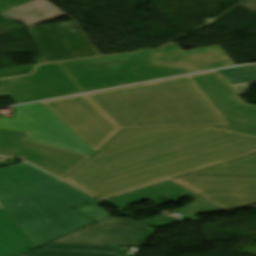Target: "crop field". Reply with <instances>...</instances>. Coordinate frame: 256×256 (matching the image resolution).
<instances>
[{
    "label": "crop field",
    "mask_w": 256,
    "mask_h": 256,
    "mask_svg": "<svg viewBox=\"0 0 256 256\" xmlns=\"http://www.w3.org/2000/svg\"><path fill=\"white\" fill-rule=\"evenodd\" d=\"M252 152L255 135L214 126L122 129L62 180L105 198Z\"/></svg>",
    "instance_id": "obj_1"
},
{
    "label": "crop field",
    "mask_w": 256,
    "mask_h": 256,
    "mask_svg": "<svg viewBox=\"0 0 256 256\" xmlns=\"http://www.w3.org/2000/svg\"><path fill=\"white\" fill-rule=\"evenodd\" d=\"M92 201L26 163L0 168V205L37 246L93 223L69 208Z\"/></svg>",
    "instance_id": "obj_2"
},
{
    "label": "crop field",
    "mask_w": 256,
    "mask_h": 256,
    "mask_svg": "<svg viewBox=\"0 0 256 256\" xmlns=\"http://www.w3.org/2000/svg\"><path fill=\"white\" fill-rule=\"evenodd\" d=\"M88 96L121 128L224 126L186 77Z\"/></svg>",
    "instance_id": "obj_3"
},
{
    "label": "crop field",
    "mask_w": 256,
    "mask_h": 256,
    "mask_svg": "<svg viewBox=\"0 0 256 256\" xmlns=\"http://www.w3.org/2000/svg\"><path fill=\"white\" fill-rule=\"evenodd\" d=\"M122 65L105 69L102 66ZM84 92L233 66L219 45L183 51L162 49L60 63Z\"/></svg>",
    "instance_id": "obj_4"
},
{
    "label": "crop field",
    "mask_w": 256,
    "mask_h": 256,
    "mask_svg": "<svg viewBox=\"0 0 256 256\" xmlns=\"http://www.w3.org/2000/svg\"><path fill=\"white\" fill-rule=\"evenodd\" d=\"M13 109V119L0 118L1 129L32 132L28 140L89 156L96 152L43 103Z\"/></svg>",
    "instance_id": "obj_5"
},
{
    "label": "crop field",
    "mask_w": 256,
    "mask_h": 256,
    "mask_svg": "<svg viewBox=\"0 0 256 256\" xmlns=\"http://www.w3.org/2000/svg\"><path fill=\"white\" fill-rule=\"evenodd\" d=\"M44 104L96 151L120 129L85 95Z\"/></svg>",
    "instance_id": "obj_6"
},
{
    "label": "crop field",
    "mask_w": 256,
    "mask_h": 256,
    "mask_svg": "<svg viewBox=\"0 0 256 256\" xmlns=\"http://www.w3.org/2000/svg\"><path fill=\"white\" fill-rule=\"evenodd\" d=\"M29 135L0 129V155L21 158L59 178L89 157L28 141Z\"/></svg>",
    "instance_id": "obj_7"
},
{
    "label": "crop field",
    "mask_w": 256,
    "mask_h": 256,
    "mask_svg": "<svg viewBox=\"0 0 256 256\" xmlns=\"http://www.w3.org/2000/svg\"><path fill=\"white\" fill-rule=\"evenodd\" d=\"M82 92L57 63L38 66L29 76L0 81V97L16 104Z\"/></svg>",
    "instance_id": "obj_8"
},
{
    "label": "crop field",
    "mask_w": 256,
    "mask_h": 256,
    "mask_svg": "<svg viewBox=\"0 0 256 256\" xmlns=\"http://www.w3.org/2000/svg\"><path fill=\"white\" fill-rule=\"evenodd\" d=\"M27 29L45 62L98 56L72 21Z\"/></svg>",
    "instance_id": "obj_9"
},
{
    "label": "crop field",
    "mask_w": 256,
    "mask_h": 256,
    "mask_svg": "<svg viewBox=\"0 0 256 256\" xmlns=\"http://www.w3.org/2000/svg\"><path fill=\"white\" fill-rule=\"evenodd\" d=\"M154 232L126 218L110 217L55 243L140 247Z\"/></svg>",
    "instance_id": "obj_10"
},
{
    "label": "crop field",
    "mask_w": 256,
    "mask_h": 256,
    "mask_svg": "<svg viewBox=\"0 0 256 256\" xmlns=\"http://www.w3.org/2000/svg\"><path fill=\"white\" fill-rule=\"evenodd\" d=\"M173 180L226 209L256 202V178L185 175Z\"/></svg>",
    "instance_id": "obj_11"
},
{
    "label": "crop field",
    "mask_w": 256,
    "mask_h": 256,
    "mask_svg": "<svg viewBox=\"0 0 256 256\" xmlns=\"http://www.w3.org/2000/svg\"><path fill=\"white\" fill-rule=\"evenodd\" d=\"M187 78L224 124L245 104L216 71L190 75Z\"/></svg>",
    "instance_id": "obj_12"
},
{
    "label": "crop field",
    "mask_w": 256,
    "mask_h": 256,
    "mask_svg": "<svg viewBox=\"0 0 256 256\" xmlns=\"http://www.w3.org/2000/svg\"><path fill=\"white\" fill-rule=\"evenodd\" d=\"M167 197L173 201L190 196L194 199L201 198L200 196L170 182H163L160 184L152 185L125 195H121L115 198L104 200L118 208L137 203L143 200L153 201L161 197Z\"/></svg>",
    "instance_id": "obj_13"
},
{
    "label": "crop field",
    "mask_w": 256,
    "mask_h": 256,
    "mask_svg": "<svg viewBox=\"0 0 256 256\" xmlns=\"http://www.w3.org/2000/svg\"><path fill=\"white\" fill-rule=\"evenodd\" d=\"M36 245L0 206V256H17Z\"/></svg>",
    "instance_id": "obj_14"
},
{
    "label": "crop field",
    "mask_w": 256,
    "mask_h": 256,
    "mask_svg": "<svg viewBox=\"0 0 256 256\" xmlns=\"http://www.w3.org/2000/svg\"><path fill=\"white\" fill-rule=\"evenodd\" d=\"M0 15L21 21L26 27L66 16L47 0H34L17 8L1 12Z\"/></svg>",
    "instance_id": "obj_15"
},
{
    "label": "crop field",
    "mask_w": 256,
    "mask_h": 256,
    "mask_svg": "<svg viewBox=\"0 0 256 256\" xmlns=\"http://www.w3.org/2000/svg\"><path fill=\"white\" fill-rule=\"evenodd\" d=\"M24 256H124L120 247L47 244Z\"/></svg>",
    "instance_id": "obj_16"
},
{
    "label": "crop field",
    "mask_w": 256,
    "mask_h": 256,
    "mask_svg": "<svg viewBox=\"0 0 256 256\" xmlns=\"http://www.w3.org/2000/svg\"><path fill=\"white\" fill-rule=\"evenodd\" d=\"M190 174L256 176V153L245 158Z\"/></svg>",
    "instance_id": "obj_17"
},
{
    "label": "crop field",
    "mask_w": 256,
    "mask_h": 256,
    "mask_svg": "<svg viewBox=\"0 0 256 256\" xmlns=\"http://www.w3.org/2000/svg\"><path fill=\"white\" fill-rule=\"evenodd\" d=\"M239 94H244L248 85L256 80V65L229 68L217 71Z\"/></svg>",
    "instance_id": "obj_18"
},
{
    "label": "crop field",
    "mask_w": 256,
    "mask_h": 256,
    "mask_svg": "<svg viewBox=\"0 0 256 256\" xmlns=\"http://www.w3.org/2000/svg\"><path fill=\"white\" fill-rule=\"evenodd\" d=\"M224 127L256 135V106L245 104Z\"/></svg>",
    "instance_id": "obj_19"
},
{
    "label": "crop field",
    "mask_w": 256,
    "mask_h": 256,
    "mask_svg": "<svg viewBox=\"0 0 256 256\" xmlns=\"http://www.w3.org/2000/svg\"><path fill=\"white\" fill-rule=\"evenodd\" d=\"M216 210H220V208L202 198L195 200L189 205L177 210V213L182 217L195 222L198 221L199 218H197L194 214L212 212Z\"/></svg>",
    "instance_id": "obj_20"
},
{
    "label": "crop field",
    "mask_w": 256,
    "mask_h": 256,
    "mask_svg": "<svg viewBox=\"0 0 256 256\" xmlns=\"http://www.w3.org/2000/svg\"><path fill=\"white\" fill-rule=\"evenodd\" d=\"M101 204H104V203L100 202V203L76 208L75 210L98 221V220L102 219L103 217L111 214V213L107 212L106 210L100 208L99 205H101Z\"/></svg>",
    "instance_id": "obj_21"
},
{
    "label": "crop field",
    "mask_w": 256,
    "mask_h": 256,
    "mask_svg": "<svg viewBox=\"0 0 256 256\" xmlns=\"http://www.w3.org/2000/svg\"><path fill=\"white\" fill-rule=\"evenodd\" d=\"M149 219H151V221H149ZM149 219L140 221V222H138V223L143 224V225H145V226L151 225V226L157 227V226H163V225H167V224H171V223L176 222V221L173 220V219L167 220V219L163 218V217L160 216V215L151 217V218H149Z\"/></svg>",
    "instance_id": "obj_22"
},
{
    "label": "crop field",
    "mask_w": 256,
    "mask_h": 256,
    "mask_svg": "<svg viewBox=\"0 0 256 256\" xmlns=\"http://www.w3.org/2000/svg\"><path fill=\"white\" fill-rule=\"evenodd\" d=\"M2 1H4V2H6V3H8V4H10L14 7H17V6L22 5L26 2H29L31 0H2Z\"/></svg>",
    "instance_id": "obj_23"
},
{
    "label": "crop field",
    "mask_w": 256,
    "mask_h": 256,
    "mask_svg": "<svg viewBox=\"0 0 256 256\" xmlns=\"http://www.w3.org/2000/svg\"><path fill=\"white\" fill-rule=\"evenodd\" d=\"M11 8H14V7L0 1V12L4 11V10H7V9H11Z\"/></svg>",
    "instance_id": "obj_24"
}]
</instances>
